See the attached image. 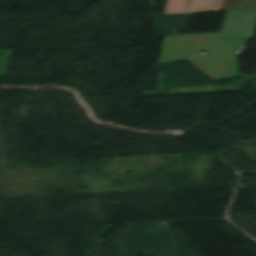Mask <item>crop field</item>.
<instances>
[{
	"label": "crop field",
	"instance_id": "ac0d7876",
	"mask_svg": "<svg viewBox=\"0 0 256 256\" xmlns=\"http://www.w3.org/2000/svg\"><path fill=\"white\" fill-rule=\"evenodd\" d=\"M256 29V9L227 11L221 31Z\"/></svg>",
	"mask_w": 256,
	"mask_h": 256
},
{
	"label": "crop field",
	"instance_id": "412701ff",
	"mask_svg": "<svg viewBox=\"0 0 256 256\" xmlns=\"http://www.w3.org/2000/svg\"><path fill=\"white\" fill-rule=\"evenodd\" d=\"M255 30L221 32L218 40L251 39Z\"/></svg>",
	"mask_w": 256,
	"mask_h": 256
},
{
	"label": "crop field",
	"instance_id": "34b2d1b8",
	"mask_svg": "<svg viewBox=\"0 0 256 256\" xmlns=\"http://www.w3.org/2000/svg\"><path fill=\"white\" fill-rule=\"evenodd\" d=\"M221 1L189 0L186 12H184L187 0H169L164 14L219 10Z\"/></svg>",
	"mask_w": 256,
	"mask_h": 256
},
{
	"label": "crop field",
	"instance_id": "8a807250",
	"mask_svg": "<svg viewBox=\"0 0 256 256\" xmlns=\"http://www.w3.org/2000/svg\"><path fill=\"white\" fill-rule=\"evenodd\" d=\"M219 33L166 36L159 65L187 60L214 79L240 75L235 50L248 40L217 41ZM207 51L206 54H201Z\"/></svg>",
	"mask_w": 256,
	"mask_h": 256
}]
</instances>
